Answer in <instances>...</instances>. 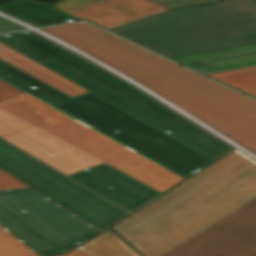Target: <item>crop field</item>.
Returning a JSON list of instances; mask_svg holds the SVG:
<instances>
[{"label": "crop field", "instance_id": "obj_1", "mask_svg": "<svg viewBox=\"0 0 256 256\" xmlns=\"http://www.w3.org/2000/svg\"><path fill=\"white\" fill-rule=\"evenodd\" d=\"M0 78L26 92L0 108L35 125L4 139L65 175L104 161L163 192L214 160L90 91L71 98L2 59Z\"/></svg>", "mask_w": 256, "mask_h": 256}, {"label": "crop field", "instance_id": "obj_2", "mask_svg": "<svg viewBox=\"0 0 256 256\" xmlns=\"http://www.w3.org/2000/svg\"><path fill=\"white\" fill-rule=\"evenodd\" d=\"M255 196L256 161L235 149L111 228L162 256Z\"/></svg>", "mask_w": 256, "mask_h": 256}, {"label": "crop field", "instance_id": "obj_3", "mask_svg": "<svg viewBox=\"0 0 256 256\" xmlns=\"http://www.w3.org/2000/svg\"><path fill=\"white\" fill-rule=\"evenodd\" d=\"M27 31L30 33H7L10 37L1 34L0 42L157 128L172 132L170 135L214 159L234 147L94 62L32 30Z\"/></svg>", "mask_w": 256, "mask_h": 256}, {"label": "crop field", "instance_id": "obj_4", "mask_svg": "<svg viewBox=\"0 0 256 256\" xmlns=\"http://www.w3.org/2000/svg\"><path fill=\"white\" fill-rule=\"evenodd\" d=\"M238 143L256 134V101L170 61L136 77Z\"/></svg>", "mask_w": 256, "mask_h": 256}, {"label": "crop field", "instance_id": "obj_5", "mask_svg": "<svg viewBox=\"0 0 256 256\" xmlns=\"http://www.w3.org/2000/svg\"><path fill=\"white\" fill-rule=\"evenodd\" d=\"M0 225L38 255L62 252L100 232L30 188L0 190Z\"/></svg>", "mask_w": 256, "mask_h": 256}, {"label": "crop field", "instance_id": "obj_6", "mask_svg": "<svg viewBox=\"0 0 256 256\" xmlns=\"http://www.w3.org/2000/svg\"><path fill=\"white\" fill-rule=\"evenodd\" d=\"M0 169L100 231L129 214L1 137Z\"/></svg>", "mask_w": 256, "mask_h": 256}, {"label": "crop field", "instance_id": "obj_7", "mask_svg": "<svg viewBox=\"0 0 256 256\" xmlns=\"http://www.w3.org/2000/svg\"><path fill=\"white\" fill-rule=\"evenodd\" d=\"M166 57L256 42V15L126 37Z\"/></svg>", "mask_w": 256, "mask_h": 256}, {"label": "crop field", "instance_id": "obj_8", "mask_svg": "<svg viewBox=\"0 0 256 256\" xmlns=\"http://www.w3.org/2000/svg\"><path fill=\"white\" fill-rule=\"evenodd\" d=\"M163 256H256V197Z\"/></svg>", "mask_w": 256, "mask_h": 256}, {"label": "crop field", "instance_id": "obj_9", "mask_svg": "<svg viewBox=\"0 0 256 256\" xmlns=\"http://www.w3.org/2000/svg\"><path fill=\"white\" fill-rule=\"evenodd\" d=\"M41 29L131 77L167 61L89 23L75 22Z\"/></svg>", "mask_w": 256, "mask_h": 256}, {"label": "crop field", "instance_id": "obj_10", "mask_svg": "<svg viewBox=\"0 0 256 256\" xmlns=\"http://www.w3.org/2000/svg\"><path fill=\"white\" fill-rule=\"evenodd\" d=\"M256 14V0H230L171 10L111 31L126 37Z\"/></svg>", "mask_w": 256, "mask_h": 256}, {"label": "crop field", "instance_id": "obj_11", "mask_svg": "<svg viewBox=\"0 0 256 256\" xmlns=\"http://www.w3.org/2000/svg\"><path fill=\"white\" fill-rule=\"evenodd\" d=\"M67 177L82 184L129 213L161 192L102 162ZM113 186L112 188H108Z\"/></svg>", "mask_w": 256, "mask_h": 256}, {"label": "crop field", "instance_id": "obj_12", "mask_svg": "<svg viewBox=\"0 0 256 256\" xmlns=\"http://www.w3.org/2000/svg\"><path fill=\"white\" fill-rule=\"evenodd\" d=\"M54 7L104 29L167 10L148 0H63Z\"/></svg>", "mask_w": 256, "mask_h": 256}, {"label": "crop field", "instance_id": "obj_13", "mask_svg": "<svg viewBox=\"0 0 256 256\" xmlns=\"http://www.w3.org/2000/svg\"><path fill=\"white\" fill-rule=\"evenodd\" d=\"M204 74L256 65V43L171 57Z\"/></svg>", "mask_w": 256, "mask_h": 256}, {"label": "crop field", "instance_id": "obj_14", "mask_svg": "<svg viewBox=\"0 0 256 256\" xmlns=\"http://www.w3.org/2000/svg\"><path fill=\"white\" fill-rule=\"evenodd\" d=\"M0 58L74 97L88 91L52 70L0 43Z\"/></svg>", "mask_w": 256, "mask_h": 256}, {"label": "crop field", "instance_id": "obj_15", "mask_svg": "<svg viewBox=\"0 0 256 256\" xmlns=\"http://www.w3.org/2000/svg\"><path fill=\"white\" fill-rule=\"evenodd\" d=\"M0 9L36 26L66 22L70 21L69 18L79 20L45 3L31 0H19L0 6Z\"/></svg>", "mask_w": 256, "mask_h": 256}, {"label": "crop field", "instance_id": "obj_16", "mask_svg": "<svg viewBox=\"0 0 256 256\" xmlns=\"http://www.w3.org/2000/svg\"><path fill=\"white\" fill-rule=\"evenodd\" d=\"M78 248L89 256H140L110 229Z\"/></svg>", "mask_w": 256, "mask_h": 256}, {"label": "crop field", "instance_id": "obj_17", "mask_svg": "<svg viewBox=\"0 0 256 256\" xmlns=\"http://www.w3.org/2000/svg\"><path fill=\"white\" fill-rule=\"evenodd\" d=\"M207 75L235 88L256 86V66Z\"/></svg>", "mask_w": 256, "mask_h": 256}, {"label": "crop field", "instance_id": "obj_18", "mask_svg": "<svg viewBox=\"0 0 256 256\" xmlns=\"http://www.w3.org/2000/svg\"><path fill=\"white\" fill-rule=\"evenodd\" d=\"M0 256H38L0 226Z\"/></svg>", "mask_w": 256, "mask_h": 256}, {"label": "crop field", "instance_id": "obj_19", "mask_svg": "<svg viewBox=\"0 0 256 256\" xmlns=\"http://www.w3.org/2000/svg\"><path fill=\"white\" fill-rule=\"evenodd\" d=\"M30 126L33 125L0 109V136L4 137Z\"/></svg>", "mask_w": 256, "mask_h": 256}, {"label": "crop field", "instance_id": "obj_20", "mask_svg": "<svg viewBox=\"0 0 256 256\" xmlns=\"http://www.w3.org/2000/svg\"><path fill=\"white\" fill-rule=\"evenodd\" d=\"M150 1L155 2L167 9H171V8L183 7V6L206 3V2L217 1V0H150Z\"/></svg>", "mask_w": 256, "mask_h": 256}, {"label": "crop field", "instance_id": "obj_21", "mask_svg": "<svg viewBox=\"0 0 256 256\" xmlns=\"http://www.w3.org/2000/svg\"><path fill=\"white\" fill-rule=\"evenodd\" d=\"M28 187L19 180L13 178L7 173L0 170V189L23 188Z\"/></svg>", "mask_w": 256, "mask_h": 256}, {"label": "crop field", "instance_id": "obj_22", "mask_svg": "<svg viewBox=\"0 0 256 256\" xmlns=\"http://www.w3.org/2000/svg\"><path fill=\"white\" fill-rule=\"evenodd\" d=\"M21 94L23 93L0 80V103Z\"/></svg>", "mask_w": 256, "mask_h": 256}, {"label": "crop field", "instance_id": "obj_23", "mask_svg": "<svg viewBox=\"0 0 256 256\" xmlns=\"http://www.w3.org/2000/svg\"><path fill=\"white\" fill-rule=\"evenodd\" d=\"M25 29V27L0 17V32Z\"/></svg>", "mask_w": 256, "mask_h": 256}, {"label": "crop field", "instance_id": "obj_24", "mask_svg": "<svg viewBox=\"0 0 256 256\" xmlns=\"http://www.w3.org/2000/svg\"><path fill=\"white\" fill-rule=\"evenodd\" d=\"M241 145L245 146L249 150H251L254 153H256V135L253 136L252 138H250L249 140H247L246 142H244Z\"/></svg>", "mask_w": 256, "mask_h": 256}, {"label": "crop field", "instance_id": "obj_25", "mask_svg": "<svg viewBox=\"0 0 256 256\" xmlns=\"http://www.w3.org/2000/svg\"><path fill=\"white\" fill-rule=\"evenodd\" d=\"M62 256H87V255L77 248L76 250Z\"/></svg>", "mask_w": 256, "mask_h": 256}, {"label": "crop field", "instance_id": "obj_26", "mask_svg": "<svg viewBox=\"0 0 256 256\" xmlns=\"http://www.w3.org/2000/svg\"><path fill=\"white\" fill-rule=\"evenodd\" d=\"M240 90L256 97V87L244 88V89H240Z\"/></svg>", "mask_w": 256, "mask_h": 256}]
</instances>
